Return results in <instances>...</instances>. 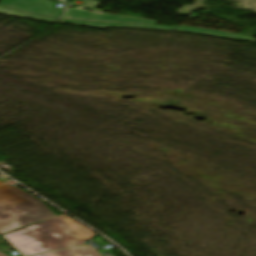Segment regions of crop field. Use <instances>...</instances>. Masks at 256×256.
I'll return each mask as SVG.
<instances>
[{"instance_id":"obj_7","label":"crop field","mask_w":256,"mask_h":256,"mask_svg":"<svg viewBox=\"0 0 256 256\" xmlns=\"http://www.w3.org/2000/svg\"><path fill=\"white\" fill-rule=\"evenodd\" d=\"M0 12L13 15V16H19V17H25V18H31V19H37V20H43V21H49V22H55L58 19H52L48 17H43L39 15H34V14H28V13H23L21 11H18L14 8L6 7V6H1L0 5Z\"/></svg>"},{"instance_id":"obj_4","label":"crop field","mask_w":256,"mask_h":256,"mask_svg":"<svg viewBox=\"0 0 256 256\" xmlns=\"http://www.w3.org/2000/svg\"><path fill=\"white\" fill-rule=\"evenodd\" d=\"M0 3L22 11L54 17H60L66 10V8H57L56 4L47 0H2Z\"/></svg>"},{"instance_id":"obj_8","label":"crop field","mask_w":256,"mask_h":256,"mask_svg":"<svg viewBox=\"0 0 256 256\" xmlns=\"http://www.w3.org/2000/svg\"><path fill=\"white\" fill-rule=\"evenodd\" d=\"M98 4H99L98 1L87 0V1L82 5V7H86V8H89V9H91V10L101 11V10H98V9H94Z\"/></svg>"},{"instance_id":"obj_5","label":"crop field","mask_w":256,"mask_h":256,"mask_svg":"<svg viewBox=\"0 0 256 256\" xmlns=\"http://www.w3.org/2000/svg\"><path fill=\"white\" fill-rule=\"evenodd\" d=\"M63 18L68 19H82V20H94V21H109V22H127V23H146L155 24L153 21L139 20L121 16L106 15L96 12L86 11L82 8H69Z\"/></svg>"},{"instance_id":"obj_3","label":"crop field","mask_w":256,"mask_h":256,"mask_svg":"<svg viewBox=\"0 0 256 256\" xmlns=\"http://www.w3.org/2000/svg\"><path fill=\"white\" fill-rule=\"evenodd\" d=\"M60 22L69 23V24H76V25H84V26L101 27V28L116 26V27H128V28L188 31V32L207 34V35H213V36H219V37H226V38H232V39H239V40H245V41H251V42H255V40H256L252 36H248V35H241V34H235V33L207 30V29L187 27V26H178V27L144 26V25H128V24L85 22V21H76V20H67V19H62ZM250 38H252V40H249Z\"/></svg>"},{"instance_id":"obj_1","label":"crop field","mask_w":256,"mask_h":256,"mask_svg":"<svg viewBox=\"0 0 256 256\" xmlns=\"http://www.w3.org/2000/svg\"><path fill=\"white\" fill-rule=\"evenodd\" d=\"M76 222L60 215L2 237L22 256L73 247L95 236Z\"/></svg>"},{"instance_id":"obj_10","label":"crop field","mask_w":256,"mask_h":256,"mask_svg":"<svg viewBox=\"0 0 256 256\" xmlns=\"http://www.w3.org/2000/svg\"><path fill=\"white\" fill-rule=\"evenodd\" d=\"M0 184H4V183L0 182Z\"/></svg>"},{"instance_id":"obj_9","label":"crop field","mask_w":256,"mask_h":256,"mask_svg":"<svg viewBox=\"0 0 256 256\" xmlns=\"http://www.w3.org/2000/svg\"><path fill=\"white\" fill-rule=\"evenodd\" d=\"M0 256H8V255H5V254H3V253L0 252Z\"/></svg>"},{"instance_id":"obj_6","label":"crop field","mask_w":256,"mask_h":256,"mask_svg":"<svg viewBox=\"0 0 256 256\" xmlns=\"http://www.w3.org/2000/svg\"><path fill=\"white\" fill-rule=\"evenodd\" d=\"M34 256H102L98 251H96L92 246H82L66 250H60L50 253H44Z\"/></svg>"},{"instance_id":"obj_2","label":"crop field","mask_w":256,"mask_h":256,"mask_svg":"<svg viewBox=\"0 0 256 256\" xmlns=\"http://www.w3.org/2000/svg\"><path fill=\"white\" fill-rule=\"evenodd\" d=\"M55 216L35 197L8 184L0 186V234Z\"/></svg>"}]
</instances>
